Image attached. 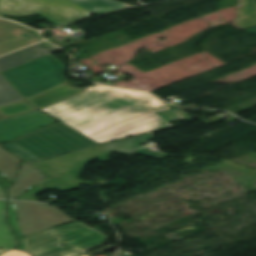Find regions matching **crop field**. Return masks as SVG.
<instances>
[{"label": "crop field", "mask_w": 256, "mask_h": 256, "mask_svg": "<svg viewBox=\"0 0 256 256\" xmlns=\"http://www.w3.org/2000/svg\"><path fill=\"white\" fill-rule=\"evenodd\" d=\"M86 90L42 110L98 143L173 127L120 88Z\"/></svg>", "instance_id": "obj_1"}, {"label": "crop field", "mask_w": 256, "mask_h": 256, "mask_svg": "<svg viewBox=\"0 0 256 256\" xmlns=\"http://www.w3.org/2000/svg\"><path fill=\"white\" fill-rule=\"evenodd\" d=\"M95 145L99 144L58 122L2 146L32 163Z\"/></svg>", "instance_id": "obj_2"}, {"label": "crop field", "mask_w": 256, "mask_h": 256, "mask_svg": "<svg viewBox=\"0 0 256 256\" xmlns=\"http://www.w3.org/2000/svg\"><path fill=\"white\" fill-rule=\"evenodd\" d=\"M26 250L35 256H81L85 250L106 243L108 237L75 221L24 236ZM65 243L67 246L61 247Z\"/></svg>", "instance_id": "obj_3"}, {"label": "crop field", "mask_w": 256, "mask_h": 256, "mask_svg": "<svg viewBox=\"0 0 256 256\" xmlns=\"http://www.w3.org/2000/svg\"><path fill=\"white\" fill-rule=\"evenodd\" d=\"M108 157V154L104 152L103 146L99 145L82 151L33 163L32 165L50 178L46 179L16 199L36 201L35 194L44 191L45 188H56L59 191L79 189L80 187L77 185L86 184L78 179L79 174L85 165L95 158H98L102 162H107L109 161L107 159Z\"/></svg>", "instance_id": "obj_4"}, {"label": "crop field", "mask_w": 256, "mask_h": 256, "mask_svg": "<svg viewBox=\"0 0 256 256\" xmlns=\"http://www.w3.org/2000/svg\"><path fill=\"white\" fill-rule=\"evenodd\" d=\"M63 70L62 65L49 55L0 74L26 98L65 81L61 74Z\"/></svg>", "instance_id": "obj_5"}, {"label": "crop field", "mask_w": 256, "mask_h": 256, "mask_svg": "<svg viewBox=\"0 0 256 256\" xmlns=\"http://www.w3.org/2000/svg\"><path fill=\"white\" fill-rule=\"evenodd\" d=\"M10 4H14L10 6ZM39 14L53 26L89 17L91 13L70 0H0V17Z\"/></svg>", "instance_id": "obj_6"}, {"label": "crop field", "mask_w": 256, "mask_h": 256, "mask_svg": "<svg viewBox=\"0 0 256 256\" xmlns=\"http://www.w3.org/2000/svg\"><path fill=\"white\" fill-rule=\"evenodd\" d=\"M12 203L23 236L75 221L66 213L51 205L32 202Z\"/></svg>", "instance_id": "obj_7"}, {"label": "crop field", "mask_w": 256, "mask_h": 256, "mask_svg": "<svg viewBox=\"0 0 256 256\" xmlns=\"http://www.w3.org/2000/svg\"><path fill=\"white\" fill-rule=\"evenodd\" d=\"M83 91H85V89L80 88L76 90L70 85L63 83L26 100L7 106H2L0 107V112L8 117L36 109L40 110L48 105Z\"/></svg>", "instance_id": "obj_8"}, {"label": "crop field", "mask_w": 256, "mask_h": 256, "mask_svg": "<svg viewBox=\"0 0 256 256\" xmlns=\"http://www.w3.org/2000/svg\"><path fill=\"white\" fill-rule=\"evenodd\" d=\"M57 122L36 110L0 120V144Z\"/></svg>", "instance_id": "obj_9"}, {"label": "crop field", "mask_w": 256, "mask_h": 256, "mask_svg": "<svg viewBox=\"0 0 256 256\" xmlns=\"http://www.w3.org/2000/svg\"><path fill=\"white\" fill-rule=\"evenodd\" d=\"M39 41L36 31L0 19V55Z\"/></svg>", "instance_id": "obj_10"}, {"label": "crop field", "mask_w": 256, "mask_h": 256, "mask_svg": "<svg viewBox=\"0 0 256 256\" xmlns=\"http://www.w3.org/2000/svg\"><path fill=\"white\" fill-rule=\"evenodd\" d=\"M57 51L60 50L46 42H42L29 48L0 57V71Z\"/></svg>", "instance_id": "obj_11"}, {"label": "crop field", "mask_w": 256, "mask_h": 256, "mask_svg": "<svg viewBox=\"0 0 256 256\" xmlns=\"http://www.w3.org/2000/svg\"><path fill=\"white\" fill-rule=\"evenodd\" d=\"M43 178L44 176L40 174L33 166L26 161H23L13 186L8 188V199L16 197L21 192L30 188Z\"/></svg>", "instance_id": "obj_12"}, {"label": "crop field", "mask_w": 256, "mask_h": 256, "mask_svg": "<svg viewBox=\"0 0 256 256\" xmlns=\"http://www.w3.org/2000/svg\"><path fill=\"white\" fill-rule=\"evenodd\" d=\"M17 240L6 221V201L0 200V249H16Z\"/></svg>", "instance_id": "obj_13"}, {"label": "crop field", "mask_w": 256, "mask_h": 256, "mask_svg": "<svg viewBox=\"0 0 256 256\" xmlns=\"http://www.w3.org/2000/svg\"><path fill=\"white\" fill-rule=\"evenodd\" d=\"M237 12L235 22L238 26L245 29L256 25V0H242V8Z\"/></svg>", "instance_id": "obj_14"}, {"label": "crop field", "mask_w": 256, "mask_h": 256, "mask_svg": "<svg viewBox=\"0 0 256 256\" xmlns=\"http://www.w3.org/2000/svg\"><path fill=\"white\" fill-rule=\"evenodd\" d=\"M91 13H101L122 8L124 2L117 0H72Z\"/></svg>", "instance_id": "obj_15"}, {"label": "crop field", "mask_w": 256, "mask_h": 256, "mask_svg": "<svg viewBox=\"0 0 256 256\" xmlns=\"http://www.w3.org/2000/svg\"><path fill=\"white\" fill-rule=\"evenodd\" d=\"M20 161L21 159L0 148V173L8 178L11 182Z\"/></svg>", "instance_id": "obj_16"}, {"label": "crop field", "mask_w": 256, "mask_h": 256, "mask_svg": "<svg viewBox=\"0 0 256 256\" xmlns=\"http://www.w3.org/2000/svg\"><path fill=\"white\" fill-rule=\"evenodd\" d=\"M126 91L129 92L131 95H133L135 98H137L139 101H141L143 104H145L147 107H149L151 110L155 112L170 109V107L162 103L160 100L143 91H139V90H126Z\"/></svg>", "instance_id": "obj_17"}, {"label": "crop field", "mask_w": 256, "mask_h": 256, "mask_svg": "<svg viewBox=\"0 0 256 256\" xmlns=\"http://www.w3.org/2000/svg\"><path fill=\"white\" fill-rule=\"evenodd\" d=\"M24 99L1 75H0V105Z\"/></svg>", "instance_id": "obj_18"}, {"label": "crop field", "mask_w": 256, "mask_h": 256, "mask_svg": "<svg viewBox=\"0 0 256 256\" xmlns=\"http://www.w3.org/2000/svg\"><path fill=\"white\" fill-rule=\"evenodd\" d=\"M103 146H104L105 152L108 154L112 152H119V153L130 155L132 153V150L134 149L131 138L105 144Z\"/></svg>", "instance_id": "obj_19"}, {"label": "crop field", "mask_w": 256, "mask_h": 256, "mask_svg": "<svg viewBox=\"0 0 256 256\" xmlns=\"http://www.w3.org/2000/svg\"><path fill=\"white\" fill-rule=\"evenodd\" d=\"M8 213H9V223H10L13 231L16 233L17 237L19 238L18 249L26 251L11 201H8Z\"/></svg>", "instance_id": "obj_20"}, {"label": "crop field", "mask_w": 256, "mask_h": 256, "mask_svg": "<svg viewBox=\"0 0 256 256\" xmlns=\"http://www.w3.org/2000/svg\"><path fill=\"white\" fill-rule=\"evenodd\" d=\"M157 114H159L161 117H163L168 122L190 118L179 108L173 109V110H168V111H163V112H158Z\"/></svg>", "instance_id": "obj_21"}, {"label": "crop field", "mask_w": 256, "mask_h": 256, "mask_svg": "<svg viewBox=\"0 0 256 256\" xmlns=\"http://www.w3.org/2000/svg\"><path fill=\"white\" fill-rule=\"evenodd\" d=\"M135 153L140 154V155H144V156H148V157L157 158V159L164 158V157H167V156H173V155L167 154V153L150 152L149 148L136 150Z\"/></svg>", "instance_id": "obj_22"}, {"label": "crop field", "mask_w": 256, "mask_h": 256, "mask_svg": "<svg viewBox=\"0 0 256 256\" xmlns=\"http://www.w3.org/2000/svg\"><path fill=\"white\" fill-rule=\"evenodd\" d=\"M132 139H133L135 148H139L141 147L140 143H148V141L153 140L154 138H153V134L150 133V134L134 137Z\"/></svg>", "instance_id": "obj_23"}, {"label": "crop field", "mask_w": 256, "mask_h": 256, "mask_svg": "<svg viewBox=\"0 0 256 256\" xmlns=\"http://www.w3.org/2000/svg\"><path fill=\"white\" fill-rule=\"evenodd\" d=\"M0 256H33V255L20 250H10Z\"/></svg>", "instance_id": "obj_24"}, {"label": "crop field", "mask_w": 256, "mask_h": 256, "mask_svg": "<svg viewBox=\"0 0 256 256\" xmlns=\"http://www.w3.org/2000/svg\"><path fill=\"white\" fill-rule=\"evenodd\" d=\"M11 185L8 180H6L3 176L0 175V190L3 192L4 198H6L7 193L5 187Z\"/></svg>", "instance_id": "obj_25"}, {"label": "crop field", "mask_w": 256, "mask_h": 256, "mask_svg": "<svg viewBox=\"0 0 256 256\" xmlns=\"http://www.w3.org/2000/svg\"><path fill=\"white\" fill-rule=\"evenodd\" d=\"M245 31L256 34V26L249 29H245Z\"/></svg>", "instance_id": "obj_26"}, {"label": "crop field", "mask_w": 256, "mask_h": 256, "mask_svg": "<svg viewBox=\"0 0 256 256\" xmlns=\"http://www.w3.org/2000/svg\"><path fill=\"white\" fill-rule=\"evenodd\" d=\"M8 250H10V249H7V250H0V254L6 252V251H8Z\"/></svg>", "instance_id": "obj_27"}, {"label": "crop field", "mask_w": 256, "mask_h": 256, "mask_svg": "<svg viewBox=\"0 0 256 256\" xmlns=\"http://www.w3.org/2000/svg\"><path fill=\"white\" fill-rule=\"evenodd\" d=\"M2 118H5V116H3V115L0 113V119H2Z\"/></svg>", "instance_id": "obj_28"}, {"label": "crop field", "mask_w": 256, "mask_h": 256, "mask_svg": "<svg viewBox=\"0 0 256 256\" xmlns=\"http://www.w3.org/2000/svg\"><path fill=\"white\" fill-rule=\"evenodd\" d=\"M85 256H87V255H85Z\"/></svg>", "instance_id": "obj_29"}]
</instances>
